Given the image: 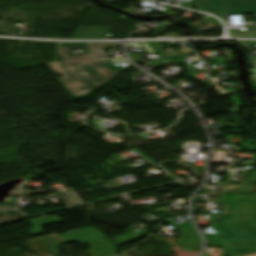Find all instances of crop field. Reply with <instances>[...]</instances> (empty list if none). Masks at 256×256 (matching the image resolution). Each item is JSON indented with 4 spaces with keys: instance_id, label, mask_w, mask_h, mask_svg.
Segmentation results:
<instances>
[{
    "instance_id": "28ad6ade",
    "label": "crop field",
    "mask_w": 256,
    "mask_h": 256,
    "mask_svg": "<svg viewBox=\"0 0 256 256\" xmlns=\"http://www.w3.org/2000/svg\"><path fill=\"white\" fill-rule=\"evenodd\" d=\"M249 256H256V254H253V255H249Z\"/></svg>"
},
{
    "instance_id": "3316defc",
    "label": "crop field",
    "mask_w": 256,
    "mask_h": 256,
    "mask_svg": "<svg viewBox=\"0 0 256 256\" xmlns=\"http://www.w3.org/2000/svg\"><path fill=\"white\" fill-rule=\"evenodd\" d=\"M249 65H256V58H248Z\"/></svg>"
},
{
    "instance_id": "5a996713",
    "label": "crop field",
    "mask_w": 256,
    "mask_h": 256,
    "mask_svg": "<svg viewBox=\"0 0 256 256\" xmlns=\"http://www.w3.org/2000/svg\"><path fill=\"white\" fill-rule=\"evenodd\" d=\"M254 69H250L252 79H256V66H252Z\"/></svg>"
},
{
    "instance_id": "e52e79f7",
    "label": "crop field",
    "mask_w": 256,
    "mask_h": 256,
    "mask_svg": "<svg viewBox=\"0 0 256 256\" xmlns=\"http://www.w3.org/2000/svg\"><path fill=\"white\" fill-rule=\"evenodd\" d=\"M247 31H240V30H234L230 29V36L235 37H256V25H246ZM244 33H247V35H244Z\"/></svg>"
},
{
    "instance_id": "f4fd0767",
    "label": "crop field",
    "mask_w": 256,
    "mask_h": 256,
    "mask_svg": "<svg viewBox=\"0 0 256 256\" xmlns=\"http://www.w3.org/2000/svg\"><path fill=\"white\" fill-rule=\"evenodd\" d=\"M193 7L214 15H225L223 0H193Z\"/></svg>"
},
{
    "instance_id": "d8731c3e",
    "label": "crop field",
    "mask_w": 256,
    "mask_h": 256,
    "mask_svg": "<svg viewBox=\"0 0 256 256\" xmlns=\"http://www.w3.org/2000/svg\"><path fill=\"white\" fill-rule=\"evenodd\" d=\"M233 44H237L248 50V45H256V41H242V42H233Z\"/></svg>"
},
{
    "instance_id": "34b2d1b8",
    "label": "crop field",
    "mask_w": 256,
    "mask_h": 256,
    "mask_svg": "<svg viewBox=\"0 0 256 256\" xmlns=\"http://www.w3.org/2000/svg\"><path fill=\"white\" fill-rule=\"evenodd\" d=\"M226 15L256 14V0H224Z\"/></svg>"
},
{
    "instance_id": "412701ff",
    "label": "crop field",
    "mask_w": 256,
    "mask_h": 256,
    "mask_svg": "<svg viewBox=\"0 0 256 256\" xmlns=\"http://www.w3.org/2000/svg\"><path fill=\"white\" fill-rule=\"evenodd\" d=\"M109 26L77 27L72 39H104Z\"/></svg>"
},
{
    "instance_id": "dd49c442",
    "label": "crop field",
    "mask_w": 256,
    "mask_h": 256,
    "mask_svg": "<svg viewBox=\"0 0 256 256\" xmlns=\"http://www.w3.org/2000/svg\"><path fill=\"white\" fill-rule=\"evenodd\" d=\"M30 221L34 225V228H33L32 232L30 234V235H32V234L41 233V226L43 224L57 223V222H61L62 220L60 218L56 217V216L51 217V218H49L47 216H44V217H38V218L31 219Z\"/></svg>"
},
{
    "instance_id": "ac0d7876",
    "label": "crop field",
    "mask_w": 256,
    "mask_h": 256,
    "mask_svg": "<svg viewBox=\"0 0 256 256\" xmlns=\"http://www.w3.org/2000/svg\"><path fill=\"white\" fill-rule=\"evenodd\" d=\"M117 43H103V44H91V43H78V44H66L60 43L59 53L63 59L70 58L71 56L67 53L72 48H80L89 51L96 59L107 58L106 53L103 51L104 48L115 47Z\"/></svg>"
},
{
    "instance_id": "8a807250",
    "label": "crop field",
    "mask_w": 256,
    "mask_h": 256,
    "mask_svg": "<svg viewBox=\"0 0 256 256\" xmlns=\"http://www.w3.org/2000/svg\"><path fill=\"white\" fill-rule=\"evenodd\" d=\"M46 65L61 75V83L74 97L89 94L121 73L110 59L93 61L87 54Z\"/></svg>"
}]
</instances>
